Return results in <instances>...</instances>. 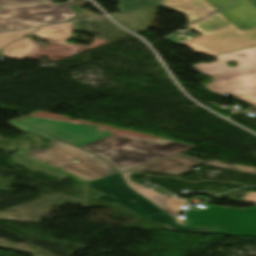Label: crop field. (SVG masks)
Here are the masks:
<instances>
[{
	"label": "crop field",
	"instance_id": "crop-field-1",
	"mask_svg": "<svg viewBox=\"0 0 256 256\" xmlns=\"http://www.w3.org/2000/svg\"><path fill=\"white\" fill-rule=\"evenodd\" d=\"M8 124L21 131H29L50 140L47 148L36 147L30 151L20 150L14 154L46 168L67 174L79 184L117 173L98 156L54 139L17 121ZM73 159L80 162L76 163L72 161Z\"/></svg>",
	"mask_w": 256,
	"mask_h": 256
},
{
	"label": "crop field",
	"instance_id": "crop-field-2",
	"mask_svg": "<svg viewBox=\"0 0 256 256\" xmlns=\"http://www.w3.org/2000/svg\"><path fill=\"white\" fill-rule=\"evenodd\" d=\"M111 163L119 171L196 147L171 140H152L111 135L80 146Z\"/></svg>",
	"mask_w": 256,
	"mask_h": 256
},
{
	"label": "crop field",
	"instance_id": "crop-field-10",
	"mask_svg": "<svg viewBox=\"0 0 256 256\" xmlns=\"http://www.w3.org/2000/svg\"><path fill=\"white\" fill-rule=\"evenodd\" d=\"M215 58L219 61L211 64L200 63L194 65V67L201 73L207 74L256 65V47L216 56ZM230 61H236L238 67L229 68L225 63Z\"/></svg>",
	"mask_w": 256,
	"mask_h": 256
},
{
	"label": "crop field",
	"instance_id": "crop-field-21",
	"mask_svg": "<svg viewBox=\"0 0 256 256\" xmlns=\"http://www.w3.org/2000/svg\"><path fill=\"white\" fill-rule=\"evenodd\" d=\"M245 201L252 202V203L256 201V193L254 192L248 193L247 197L245 198Z\"/></svg>",
	"mask_w": 256,
	"mask_h": 256
},
{
	"label": "crop field",
	"instance_id": "crop-field-4",
	"mask_svg": "<svg viewBox=\"0 0 256 256\" xmlns=\"http://www.w3.org/2000/svg\"><path fill=\"white\" fill-rule=\"evenodd\" d=\"M90 187L104 192L103 195L95 198L110 202H117L133 210L140 216L153 221L161 222L164 224V226L173 230L214 233L212 229L188 228L174 224L172 218L128 188L120 174L101 178L97 181L91 182ZM132 200H136V202H131Z\"/></svg>",
	"mask_w": 256,
	"mask_h": 256
},
{
	"label": "crop field",
	"instance_id": "crop-field-19",
	"mask_svg": "<svg viewBox=\"0 0 256 256\" xmlns=\"http://www.w3.org/2000/svg\"><path fill=\"white\" fill-rule=\"evenodd\" d=\"M42 0H0V6H2V3H5L4 5H10V4H20V3H30V2H40ZM46 1V0H43Z\"/></svg>",
	"mask_w": 256,
	"mask_h": 256
},
{
	"label": "crop field",
	"instance_id": "crop-field-5",
	"mask_svg": "<svg viewBox=\"0 0 256 256\" xmlns=\"http://www.w3.org/2000/svg\"><path fill=\"white\" fill-rule=\"evenodd\" d=\"M184 225L212 227L217 233L256 236V206L237 210L208 205L207 210L186 211Z\"/></svg>",
	"mask_w": 256,
	"mask_h": 256
},
{
	"label": "crop field",
	"instance_id": "crop-field-23",
	"mask_svg": "<svg viewBox=\"0 0 256 256\" xmlns=\"http://www.w3.org/2000/svg\"><path fill=\"white\" fill-rule=\"evenodd\" d=\"M256 203V202H255Z\"/></svg>",
	"mask_w": 256,
	"mask_h": 256
},
{
	"label": "crop field",
	"instance_id": "crop-field-8",
	"mask_svg": "<svg viewBox=\"0 0 256 256\" xmlns=\"http://www.w3.org/2000/svg\"><path fill=\"white\" fill-rule=\"evenodd\" d=\"M197 164L212 165L256 175L255 168L240 166L236 164H225L217 161H203L199 159L182 156L180 154L170 156L158 161H154L145 165H141L128 171L162 173L176 176L182 173L189 172L190 169Z\"/></svg>",
	"mask_w": 256,
	"mask_h": 256
},
{
	"label": "crop field",
	"instance_id": "crop-field-14",
	"mask_svg": "<svg viewBox=\"0 0 256 256\" xmlns=\"http://www.w3.org/2000/svg\"><path fill=\"white\" fill-rule=\"evenodd\" d=\"M213 93L217 95H234L256 91V75L224 81L212 82L206 85Z\"/></svg>",
	"mask_w": 256,
	"mask_h": 256
},
{
	"label": "crop field",
	"instance_id": "crop-field-15",
	"mask_svg": "<svg viewBox=\"0 0 256 256\" xmlns=\"http://www.w3.org/2000/svg\"><path fill=\"white\" fill-rule=\"evenodd\" d=\"M120 11H129L134 9L146 8L161 5L163 0H119Z\"/></svg>",
	"mask_w": 256,
	"mask_h": 256
},
{
	"label": "crop field",
	"instance_id": "crop-field-7",
	"mask_svg": "<svg viewBox=\"0 0 256 256\" xmlns=\"http://www.w3.org/2000/svg\"><path fill=\"white\" fill-rule=\"evenodd\" d=\"M19 121L42 131H45L49 134H52L77 146L113 134L96 126L42 117H31Z\"/></svg>",
	"mask_w": 256,
	"mask_h": 256
},
{
	"label": "crop field",
	"instance_id": "crop-field-3",
	"mask_svg": "<svg viewBox=\"0 0 256 256\" xmlns=\"http://www.w3.org/2000/svg\"><path fill=\"white\" fill-rule=\"evenodd\" d=\"M187 28L203 35L182 45L208 56L256 46V28L242 31L219 11Z\"/></svg>",
	"mask_w": 256,
	"mask_h": 256
},
{
	"label": "crop field",
	"instance_id": "crop-field-18",
	"mask_svg": "<svg viewBox=\"0 0 256 256\" xmlns=\"http://www.w3.org/2000/svg\"><path fill=\"white\" fill-rule=\"evenodd\" d=\"M233 97L256 107V93L234 95Z\"/></svg>",
	"mask_w": 256,
	"mask_h": 256
},
{
	"label": "crop field",
	"instance_id": "crop-field-16",
	"mask_svg": "<svg viewBox=\"0 0 256 256\" xmlns=\"http://www.w3.org/2000/svg\"><path fill=\"white\" fill-rule=\"evenodd\" d=\"M256 74V67L240 70V71H234V72H226V73H218V74H210V76L213 77L214 81L217 80H224V79H230V78H236V77H242V76H248V75H255Z\"/></svg>",
	"mask_w": 256,
	"mask_h": 256
},
{
	"label": "crop field",
	"instance_id": "crop-field-9",
	"mask_svg": "<svg viewBox=\"0 0 256 256\" xmlns=\"http://www.w3.org/2000/svg\"><path fill=\"white\" fill-rule=\"evenodd\" d=\"M72 27H73V23H64V24L47 26V27H41L40 30L32 33L31 35L35 34V35L66 42V40L71 34ZM58 30H62V32ZM52 32H55V33H52ZM31 35H29L25 39L18 40L8 45L6 48L2 50L3 55L9 58L22 59L30 50H32L33 45L29 40V37Z\"/></svg>",
	"mask_w": 256,
	"mask_h": 256
},
{
	"label": "crop field",
	"instance_id": "crop-field-6",
	"mask_svg": "<svg viewBox=\"0 0 256 256\" xmlns=\"http://www.w3.org/2000/svg\"><path fill=\"white\" fill-rule=\"evenodd\" d=\"M76 3L69 0L65 4H50L49 2L4 7L0 9V30H12L21 27L43 25L52 22L64 21L75 16L69 5ZM2 24H6L3 26Z\"/></svg>",
	"mask_w": 256,
	"mask_h": 256
},
{
	"label": "crop field",
	"instance_id": "crop-field-22",
	"mask_svg": "<svg viewBox=\"0 0 256 256\" xmlns=\"http://www.w3.org/2000/svg\"><path fill=\"white\" fill-rule=\"evenodd\" d=\"M256 5V0H251Z\"/></svg>",
	"mask_w": 256,
	"mask_h": 256
},
{
	"label": "crop field",
	"instance_id": "crop-field-20",
	"mask_svg": "<svg viewBox=\"0 0 256 256\" xmlns=\"http://www.w3.org/2000/svg\"><path fill=\"white\" fill-rule=\"evenodd\" d=\"M212 1L215 5H217L219 8L228 4L231 0H210Z\"/></svg>",
	"mask_w": 256,
	"mask_h": 256
},
{
	"label": "crop field",
	"instance_id": "crop-field-13",
	"mask_svg": "<svg viewBox=\"0 0 256 256\" xmlns=\"http://www.w3.org/2000/svg\"><path fill=\"white\" fill-rule=\"evenodd\" d=\"M162 6L184 13L189 17L188 23L218 9L209 0H164Z\"/></svg>",
	"mask_w": 256,
	"mask_h": 256
},
{
	"label": "crop field",
	"instance_id": "crop-field-11",
	"mask_svg": "<svg viewBox=\"0 0 256 256\" xmlns=\"http://www.w3.org/2000/svg\"><path fill=\"white\" fill-rule=\"evenodd\" d=\"M122 175L128 185H130L133 189H135L142 196L149 199L151 202H153L159 208H161L162 210H164L165 212L169 213L174 218H176V222L178 224H182L181 222L185 221L184 219L177 218V216L179 215V209L185 203L184 201L174 198V197L162 195L150 188L145 189V188L131 182L129 179V176L132 174H130V173H122Z\"/></svg>",
	"mask_w": 256,
	"mask_h": 256
},
{
	"label": "crop field",
	"instance_id": "crop-field-12",
	"mask_svg": "<svg viewBox=\"0 0 256 256\" xmlns=\"http://www.w3.org/2000/svg\"><path fill=\"white\" fill-rule=\"evenodd\" d=\"M219 11L242 30L256 27V7L247 0H235Z\"/></svg>",
	"mask_w": 256,
	"mask_h": 256
},
{
	"label": "crop field",
	"instance_id": "crop-field-17",
	"mask_svg": "<svg viewBox=\"0 0 256 256\" xmlns=\"http://www.w3.org/2000/svg\"><path fill=\"white\" fill-rule=\"evenodd\" d=\"M37 28L0 34V48L2 46H4L5 44H7L17 38H20V37H23V36L29 34L30 32H32L33 30H35Z\"/></svg>",
	"mask_w": 256,
	"mask_h": 256
}]
</instances>
